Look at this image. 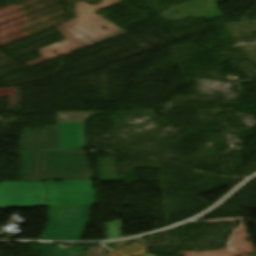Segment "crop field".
Wrapping results in <instances>:
<instances>
[{
	"label": "crop field",
	"mask_w": 256,
	"mask_h": 256,
	"mask_svg": "<svg viewBox=\"0 0 256 256\" xmlns=\"http://www.w3.org/2000/svg\"><path fill=\"white\" fill-rule=\"evenodd\" d=\"M45 151L22 153V181H44Z\"/></svg>",
	"instance_id": "7"
},
{
	"label": "crop field",
	"mask_w": 256,
	"mask_h": 256,
	"mask_svg": "<svg viewBox=\"0 0 256 256\" xmlns=\"http://www.w3.org/2000/svg\"><path fill=\"white\" fill-rule=\"evenodd\" d=\"M94 179L82 150L46 151L45 181Z\"/></svg>",
	"instance_id": "2"
},
{
	"label": "crop field",
	"mask_w": 256,
	"mask_h": 256,
	"mask_svg": "<svg viewBox=\"0 0 256 256\" xmlns=\"http://www.w3.org/2000/svg\"><path fill=\"white\" fill-rule=\"evenodd\" d=\"M38 249L41 251V256H84L85 248L73 247L71 251L54 248L53 244H38Z\"/></svg>",
	"instance_id": "8"
},
{
	"label": "crop field",
	"mask_w": 256,
	"mask_h": 256,
	"mask_svg": "<svg viewBox=\"0 0 256 256\" xmlns=\"http://www.w3.org/2000/svg\"><path fill=\"white\" fill-rule=\"evenodd\" d=\"M47 206L42 182L0 183V208Z\"/></svg>",
	"instance_id": "4"
},
{
	"label": "crop field",
	"mask_w": 256,
	"mask_h": 256,
	"mask_svg": "<svg viewBox=\"0 0 256 256\" xmlns=\"http://www.w3.org/2000/svg\"><path fill=\"white\" fill-rule=\"evenodd\" d=\"M249 256H256V254L255 255H249Z\"/></svg>",
	"instance_id": "11"
},
{
	"label": "crop field",
	"mask_w": 256,
	"mask_h": 256,
	"mask_svg": "<svg viewBox=\"0 0 256 256\" xmlns=\"http://www.w3.org/2000/svg\"><path fill=\"white\" fill-rule=\"evenodd\" d=\"M87 114H60L58 122H82Z\"/></svg>",
	"instance_id": "10"
},
{
	"label": "crop field",
	"mask_w": 256,
	"mask_h": 256,
	"mask_svg": "<svg viewBox=\"0 0 256 256\" xmlns=\"http://www.w3.org/2000/svg\"><path fill=\"white\" fill-rule=\"evenodd\" d=\"M91 205L50 207L44 240L81 241L90 223Z\"/></svg>",
	"instance_id": "1"
},
{
	"label": "crop field",
	"mask_w": 256,
	"mask_h": 256,
	"mask_svg": "<svg viewBox=\"0 0 256 256\" xmlns=\"http://www.w3.org/2000/svg\"><path fill=\"white\" fill-rule=\"evenodd\" d=\"M59 149L57 127L46 130H24L20 151Z\"/></svg>",
	"instance_id": "5"
},
{
	"label": "crop field",
	"mask_w": 256,
	"mask_h": 256,
	"mask_svg": "<svg viewBox=\"0 0 256 256\" xmlns=\"http://www.w3.org/2000/svg\"><path fill=\"white\" fill-rule=\"evenodd\" d=\"M60 149L85 147L83 123H58Z\"/></svg>",
	"instance_id": "6"
},
{
	"label": "crop field",
	"mask_w": 256,
	"mask_h": 256,
	"mask_svg": "<svg viewBox=\"0 0 256 256\" xmlns=\"http://www.w3.org/2000/svg\"><path fill=\"white\" fill-rule=\"evenodd\" d=\"M121 223L122 221H114L105 224L107 239L122 237L123 225L121 226Z\"/></svg>",
	"instance_id": "9"
},
{
	"label": "crop field",
	"mask_w": 256,
	"mask_h": 256,
	"mask_svg": "<svg viewBox=\"0 0 256 256\" xmlns=\"http://www.w3.org/2000/svg\"><path fill=\"white\" fill-rule=\"evenodd\" d=\"M50 206L95 204L91 180L45 182Z\"/></svg>",
	"instance_id": "3"
}]
</instances>
